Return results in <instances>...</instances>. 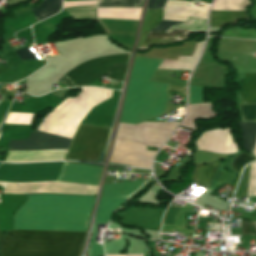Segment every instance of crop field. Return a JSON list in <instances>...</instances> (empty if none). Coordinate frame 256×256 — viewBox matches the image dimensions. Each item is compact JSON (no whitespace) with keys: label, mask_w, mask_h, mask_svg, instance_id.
Listing matches in <instances>:
<instances>
[{"label":"crop field","mask_w":256,"mask_h":256,"mask_svg":"<svg viewBox=\"0 0 256 256\" xmlns=\"http://www.w3.org/2000/svg\"><path fill=\"white\" fill-rule=\"evenodd\" d=\"M180 23H182V22L162 20L150 32H168L170 29L174 28L175 26H177Z\"/></svg>","instance_id":"crop-field-18"},{"label":"crop field","mask_w":256,"mask_h":256,"mask_svg":"<svg viewBox=\"0 0 256 256\" xmlns=\"http://www.w3.org/2000/svg\"><path fill=\"white\" fill-rule=\"evenodd\" d=\"M0 236H1V233H0Z\"/></svg>","instance_id":"crop-field-26"},{"label":"crop field","mask_w":256,"mask_h":256,"mask_svg":"<svg viewBox=\"0 0 256 256\" xmlns=\"http://www.w3.org/2000/svg\"><path fill=\"white\" fill-rule=\"evenodd\" d=\"M239 125L243 147L245 150L252 152L253 144L256 137V123L239 122Z\"/></svg>","instance_id":"crop-field-15"},{"label":"crop field","mask_w":256,"mask_h":256,"mask_svg":"<svg viewBox=\"0 0 256 256\" xmlns=\"http://www.w3.org/2000/svg\"><path fill=\"white\" fill-rule=\"evenodd\" d=\"M126 198L122 197H100L95 219V234L92 242V256L103 255L102 245L96 244L97 224H107L112 212L121 207Z\"/></svg>","instance_id":"crop-field-7"},{"label":"crop field","mask_w":256,"mask_h":256,"mask_svg":"<svg viewBox=\"0 0 256 256\" xmlns=\"http://www.w3.org/2000/svg\"><path fill=\"white\" fill-rule=\"evenodd\" d=\"M72 140L44 132L32 131L28 140H10L9 150L32 151L68 148Z\"/></svg>","instance_id":"crop-field-6"},{"label":"crop field","mask_w":256,"mask_h":256,"mask_svg":"<svg viewBox=\"0 0 256 256\" xmlns=\"http://www.w3.org/2000/svg\"><path fill=\"white\" fill-rule=\"evenodd\" d=\"M218 164L219 162L209 165L195 166L192 180L208 187Z\"/></svg>","instance_id":"crop-field-13"},{"label":"crop field","mask_w":256,"mask_h":256,"mask_svg":"<svg viewBox=\"0 0 256 256\" xmlns=\"http://www.w3.org/2000/svg\"><path fill=\"white\" fill-rule=\"evenodd\" d=\"M15 53L20 57L22 61L37 60L35 55L27 47L15 51Z\"/></svg>","instance_id":"crop-field-21"},{"label":"crop field","mask_w":256,"mask_h":256,"mask_svg":"<svg viewBox=\"0 0 256 256\" xmlns=\"http://www.w3.org/2000/svg\"><path fill=\"white\" fill-rule=\"evenodd\" d=\"M62 0H48L41 6L31 10L38 21L50 17L59 12L61 9ZM36 19V20H37Z\"/></svg>","instance_id":"crop-field-14"},{"label":"crop field","mask_w":256,"mask_h":256,"mask_svg":"<svg viewBox=\"0 0 256 256\" xmlns=\"http://www.w3.org/2000/svg\"><path fill=\"white\" fill-rule=\"evenodd\" d=\"M109 129L80 125L67 159L96 160L102 151Z\"/></svg>","instance_id":"crop-field-4"},{"label":"crop field","mask_w":256,"mask_h":256,"mask_svg":"<svg viewBox=\"0 0 256 256\" xmlns=\"http://www.w3.org/2000/svg\"><path fill=\"white\" fill-rule=\"evenodd\" d=\"M163 9L147 10L137 50L154 44H163L186 38L187 30H171L168 33H148L162 20Z\"/></svg>","instance_id":"crop-field-5"},{"label":"crop field","mask_w":256,"mask_h":256,"mask_svg":"<svg viewBox=\"0 0 256 256\" xmlns=\"http://www.w3.org/2000/svg\"><path fill=\"white\" fill-rule=\"evenodd\" d=\"M101 168L66 163L59 181L97 185Z\"/></svg>","instance_id":"crop-field-9"},{"label":"crop field","mask_w":256,"mask_h":256,"mask_svg":"<svg viewBox=\"0 0 256 256\" xmlns=\"http://www.w3.org/2000/svg\"><path fill=\"white\" fill-rule=\"evenodd\" d=\"M250 160H253V159L241 154L240 156L235 158V160L232 164V167L235 169L236 172H239L240 167Z\"/></svg>","instance_id":"crop-field-23"},{"label":"crop field","mask_w":256,"mask_h":256,"mask_svg":"<svg viewBox=\"0 0 256 256\" xmlns=\"http://www.w3.org/2000/svg\"><path fill=\"white\" fill-rule=\"evenodd\" d=\"M245 12L211 11L210 27H221L225 24H235L237 20H246Z\"/></svg>","instance_id":"crop-field-10"},{"label":"crop field","mask_w":256,"mask_h":256,"mask_svg":"<svg viewBox=\"0 0 256 256\" xmlns=\"http://www.w3.org/2000/svg\"><path fill=\"white\" fill-rule=\"evenodd\" d=\"M94 197L29 195L14 216V229L86 231ZM86 232H7L1 256H79Z\"/></svg>","instance_id":"crop-field-1"},{"label":"crop field","mask_w":256,"mask_h":256,"mask_svg":"<svg viewBox=\"0 0 256 256\" xmlns=\"http://www.w3.org/2000/svg\"><path fill=\"white\" fill-rule=\"evenodd\" d=\"M106 256H143V254H139V255H106Z\"/></svg>","instance_id":"crop-field-25"},{"label":"crop field","mask_w":256,"mask_h":256,"mask_svg":"<svg viewBox=\"0 0 256 256\" xmlns=\"http://www.w3.org/2000/svg\"><path fill=\"white\" fill-rule=\"evenodd\" d=\"M128 54L110 55L78 65L66 76L74 85L84 86L93 79L109 74V78L122 81L127 66Z\"/></svg>","instance_id":"crop-field-3"},{"label":"crop field","mask_w":256,"mask_h":256,"mask_svg":"<svg viewBox=\"0 0 256 256\" xmlns=\"http://www.w3.org/2000/svg\"><path fill=\"white\" fill-rule=\"evenodd\" d=\"M241 235H256V222L241 220Z\"/></svg>","instance_id":"crop-field-19"},{"label":"crop field","mask_w":256,"mask_h":256,"mask_svg":"<svg viewBox=\"0 0 256 256\" xmlns=\"http://www.w3.org/2000/svg\"><path fill=\"white\" fill-rule=\"evenodd\" d=\"M178 209H179V206L171 204L164 216L163 223L172 224L174 220V216L178 211Z\"/></svg>","instance_id":"crop-field-22"},{"label":"crop field","mask_w":256,"mask_h":256,"mask_svg":"<svg viewBox=\"0 0 256 256\" xmlns=\"http://www.w3.org/2000/svg\"><path fill=\"white\" fill-rule=\"evenodd\" d=\"M164 211L161 210H153V209H145V208H133L132 210L126 213L139 214L145 216H152L161 218ZM126 213H119L118 215L123 220L124 224L132 225L144 229L150 230H159L161 219L145 217L139 215H132Z\"/></svg>","instance_id":"crop-field-8"},{"label":"crop field","mask_w":256,"mask_h":256,"mask_svg":"<svg viewBox=\"0 0 256 256\" xmlns=\"http://www.w3.org/2000/svg\"><path fill=\"white\" fill-rule=\"evenodd\" d=\"M142 0H100L97 7L108 8H138Z\"/></svg>","instance_id":"crop-field-16"},{"label":"crop field","mask_w":256,"mask_h":256,"mask_svg":"<svg viewBox=\"0 0 256 256\" xmlns=\"http://www.w3.org/2000/svg\"><path fill=\"white\" fill-rule=\"evenodd\" d=\"M161 61L136 57L119 122L137 124L163 114L168 85L148 81Z\"/></svg>","instance_id":"crop-field-2"},{"label":"crop field","mask_w":256,"mask_h":256,"mask_svg":"<svg viewBox=\"0 0 256 256\" xmlns=\"http://www.w3.org/2000/svg\"><path fill=\"white\" fill-rule=\"evenodd\" d=\"M190 103H201V87L189 86Z\"/></svg>","instance_id":"crop-field-20"},{"label":"crop field","mask_w":256,"mask_h":256,"mask_svg":"<svg viewBox=\"0 0 256 256\" xmlns=\"http://www.w3.org/2000/svg\"><path fill=\"white\" fill-rule=\"evenodd\" d=\"M239 92L245 103H256V74L245 73V79Z\"/></svg>","instance_id":"crop-field-12"},{"label":"crop field","mask_w":256,"mask_h":256,"mask_svg":"<svg viewBox=\"0 0 256 256\" xmlns=\"http://www.w3.org/2000/svg\"><path fill=\"white\" fill-rule=\"evenodd\" d=\"M165 0H150L147 9L163 8Z\"/></svg>","instance_id":"crop-field-24"},{"label":"crop field","mask_w":256,"mask_h":256,"mask_svg":"<svg viewBox=\"0 0 256 256\" xmlns=\"http://www.w3.org/2000/svg\"><path fill=\"white\" fill-rule=\"evenodd\" d=\"M243 121H256V104H239Z\"/></svg>","instance_id":"crop-field-17"},{"label":"crop field","mask_w":256,"mask_h":256,"mask_svg":"<svg viewBox=\"0 0 256 256\" xmlns=\"http://www.w3.org/2000/svg\"><path fill=\"white\" fill-rule=\"evenodd\" d=\"M142 183L141 181H132L104 185L101 196H118L132 193Z\"/></svg>","instance_id":"crop-field-11"}]
</instances>
